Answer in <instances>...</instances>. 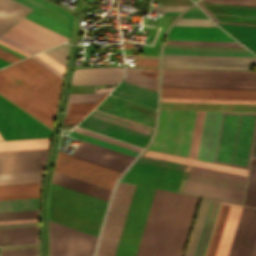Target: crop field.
Segmentation results:
<instances>
[{
  "mask_svg": "<svg viewBox=\"0 0 256 256\" xmlns=\"http://www.w3.org/2000/svg\"><path fill=\"white\" fill-rule=\"evenodd\" d=\"M256 113L224 112L214 162L248 168Z\"/></svg>",
  "mask_w": 256,
  "mask_h": 256,
  "instance_id": "4",
  "label": "crop field"
},
{
  "mask_svg": "<svg viewBox=\"0 0 256 256\" xmlns=\"http://www.w3.org/2000/svg\"><path fill=\"white\" fill-rule=\"evenodd\" d=\"M205 112H197L188 157L196 158Z\"/></svg>",
  "mask_w": 256,
  "mask_h": 256,
  "instance_id": "41",
  "label": "crop field"
},
{
  "mask_svg": "<svg viewBox=\"0 0 256 256\" xmlns=\"http://www.w3.org/2000/svg\"><path fill=\"white\" fill-rule=\"evenodd\" d=\"M162 86L256 89V71L163 69Z\"/></svg>",
  "mask_w": 256,
  "mask_h": 256,
  "instance_id": "5",
  "label": "crop field"
},
{
  "mask_svg": "<svg viewBox=\"0 0 256 256\" xmlns=\"http://www.w3.org/2000/svg\"><path fill=\"white\" fill-rule=\"evenodd\" d=\"M138 161L155 164V165L171 167V168L182 169V170H184L186 167L185 164H180V163H175V162H170V161H165V160H160V159H155V158H150V157H145V156H142V158Z\"/></svg>",
  "mask_w": 256,
  "mask_h": 256,
  "instance_id": "50",
  "label": "crop field"
},
{
  "mask_svg": "<svg viewBox=\"0 0 256 256\" xmlns=\"http://www.w3.org/2000/svg\"><path fill=\"white\" fill-rule=\"evenodd\" d=\"M219 203L220 202H218V201H214V200L211 201V205H210V208L208 211V215H207V218L205 221V225L203 228V232H202L200 242H199L195 256H204L206 246H207V243L209 240V236H210V233L212 230V226H213V223L215 220V216H216V213L218 210Z\"/></svg>",
  "mask_w": 256,
  "mask_h": 256,
  "instance_id": "38",
  "label": "crop field"
},
{
  "mask_svg": "<svg viewBox=\"0 0 256 256\" xmlns=\"http://www.w3.org/2000/svg\"><path fill=\"white\" fill-rule=\"evenodd\" d=\"M83 118H64L63 123H78Z\"/></svg>",
  "mask_w": 256,
  "mask_h": 256,
  "instance_id": "66",
  "label": "crop field"
},
{
  "mask_svg": "<svg viewBox=\"0 0 256 256\" xmlns=\"http://www.w3.org/2000/svg\"><path fill=\"white\" fill-rule=\"evenodd\" d=\"M201 4H202V2H200V4H199L200 7L207 14L210 13L217 21L245 23V24H256V7H247V6H237V5H227V4H216V3L203 2L202 6L209 12L208 13L201 6ZM234 23H232V24H234ZM245 24H243V25H245ZM253 26H256V25H253Z\"/></svg>",
  "mask_w": 256,
  "mask_h": 256,
  "instance_id": "20",
  "label": "crop field"
},
{
  "mask_svg": "<svg viewBox=\"0 0 256 256\" xmlns=\"http://www.w3.org/2000/svg\"><path fill=\"white\" fill-rule=\"evenodd\" d=\"M33 60H35L36 62H38L39 64H41L42 66H44L45 68H47L48 70H50L51 72H53L54 74H56L57 76H59L60 78L63 77V74H61L60 72H58L57 70H55L54 68H52L51 66L47 65L46 63H44L43 61H41L40 59H38L37 57L33 56L31 57Z\"/></svg>",
  "mask_w": 256,
  "mask_h": 256,
  "instance_id": "64",
  "label": "crop field"
},
{
  "mask_svg": "<svg viewBox=\"0 0 256 256\" xmlns=\"http://www.w3.org/2000/svg\"><path fill=\"white\" fill-rule=\"evenodd\" d=\"M38 248V244L1 247V250Z\"/></svg>",
  "mask_w": 256,
  "mask_h": 256,
  "instance_id": "65",
  "label": "crop field"
},
{
  "mask_svg": "<svg viewBox=\"0 0 256 256\" xmlns=\"http://www.w3.org/2000/svg\"><path fill=\"white\" fill-rule=\"evenodd\" d=\"M0 58L4 59V60H6L10 63H13V62L18 61V60L21 59V58L15 56V55L10 54V53H8L4 50H1V49H0Z\"/></svg>",
  "mask_w": 256,
  "mask_h": 256,
  "instance_id": "61",
  "label": "crop field"
},
{
  "mask_svg": "<svg viewBox=\"0 0 256 256\" xmlns=\"http://www.w3.org/2000/svg\"><path fill=\"white\" fill-rule=\"evenodd\" d=\"M0 94L52 129L56 107L1 70Z\"/></svg>",
  "mask_w": 256,
  "mask_h": 256,
  "instance_id": "10",
  "label": "crop field"
},
{
  "mask_svg": "<svg viewBox=\"0 0 256 256\" xmlns=\"http://www.w3.org/2000/svg\"><path fill=\"white\" fill-rule=\"evenodd\" d=\"M68 134L71 135V136H74V137H78V138H81V139H84V140H87V141H90V142L108 147V148L113 149V150H116V151H119V152H122V153H125V154H128V155L134 156V157H136L137 154H138V152H135V151H132V150H129V149H126V148H122V147H119V146H116V145H113V144H110V143H107V142H104V141H101V140H98V139H95V138H92V137H88V136H85V135H82V134H79V133H76V132H73V131L69 132Z\"/></svg>",
  "mask_w": 256,
  "mask_h": 256,
  "instance_id": "43",
  "label": "crop field"
},
{
  "mask_svg": "<svg viewBox=\"0 0 256 256\" xmlns=\"http://www.w3.org/2000/svg\"><path fill=\"white\" fill-rule=\"evenodd\" d=\"M161 101H178V102H212V103H246V104H256V101H248V100H213V99H178V98H161Z\"/></svg>",
  "mask_w": 256,
  "mask_h": 256,
  "instance_id": "48",
  "label": "crop field"
},
{
  "mask_svg": "<svg viewBox=\"0 0 256 256\" xmlns=\"http://www.w3.org/2000/svg\"><path fill=\"white\" fill-rule=\"evenodd\" d=\"M164 54L255 57L249 51L165 49Z\"/></svg>",
  "mask_w": 256,
  "mask_h": 256,
  "instance_id": "37",
  "label": "crop field"
},
{
  "mask_svg": "<svg viewBox=\"0 0 256 256\" xmlns=\"http://www.w3.org/2000/svg\"><path fill=\"white\" fill-rule=\"evenodd\" d=\"M122 181L242 204V190L130 169Z\"/></svg>",
  "mask_w": 256,
  "mask_h": 256,
  "instance_id": "6",
  "label": "crop field"
},
{
  "mask_svg": "<svg viewBox=\"0 0 256 256\" xmlns=\"http://www.w3.org/2000/svg\"><path fill=\"white\" fill-rule=\"evenodd\" d=\"M39 198L0 201V212L38 209Z\"/></svg>",
  "mask_w": 256,
  "mask_h": 256,
  "instance_id": "39",
  "label": "crop field"
},
{
  "mask_svg": "<svg viewBox=\"0 0 256 256\" xmlns=\"http://www.w3.org/2000/svg\"><path fill=\"white\" fill-rule=\"evenodd\" d=\"M190 5L151 6V11H184Z\"/></svg>",
  "mask_w": 256,
  "mask_h": 256,
  "instance_id": "57",
  "label": "crop field"
},
{
  "mask_svg": "<svg viewBox=\"0 0 256 256\" xmlns=\"http://www.w3.org/2000/svg\"><path fill=\"white\" fill-rule=\"evenodd\" d=\"M72 155L123 171L134 157L82 140Z\"/></svg>",
  "mask_w": 256,
  "mask_h": 256,
  "instance_id": "19",
  "label": "crop field"
},
{
  "mask_svg": "<svg viewBox=\"0 0 256 256\" xmlns=\"http://www.w3.org/2000/svg\"><path fill=\"white\" fill-rule=\"evenodd\" d=\"M68 44H62L60 46L54 47L52 49L44 51L47 55H49L51 58L56 60L58 63H60L62 66H65L67 53H68Z\"/></svg>",
  "mask_w": 256,
  "mask_h": 256,
  "instance_id": "45",
  "label": "crop field"
},
{
  "mask_svg": "<svg viewBox=\"0 0 256 256\" xmlns=\"http://www.w3.org/2000/svg\"><path fill=\"white\" fill-rule=\"evenodd\" d=\"M0 41L4 42L6 44H9V45H11V46H13V47H15V48H17L19 50H22V51H24V52H26V53H28L30 55H33V54L39 52V51H37V50H35L33 48H30V47H28V46H26L24 44H21V43L15 41L13 39H10V38H8V37H6L4 35H2L0 37Z\"/></svg>",
  "mask_w": 256,
  "mask_h": 256,
  "instance_id": "53",
  "label": "crop field"
},
{
  "mask_svg": "<svg viewBox=\"0 0 256 256\" xmlns=\"http://www.w3.org/2000/svg\"><path fill=\"white\" fill-rule=\"evenodd\" d=\"M31 221H38V219L14 220V221H0V224H3V223H17V222H31Z\"/></svg>",
  "mask_w": 256,
  "mask_h": 256,
  "instance_id": "67",
  "label": "crop field"
},
{
  "mask_svg": "<svg viewBox=\"0 0 256 256\" xmlns=\"http://www.w3.org/2000/svg\"><path fill=\"white\" fill-rule=\"evenodd\" d=\"M38 58H40L41 60H43L44 62H46L47 64L51 65L52 67H54L55 69H57L58 71H60L61 73L64 72V67H62L60 64H58L56 61H54L53 59H51L49 56H47L45 53L41 52L37 55Z\"/></svg>",
  "mask_w": 256,
  "mask_h": 256,
  "instance_id": "58",
  "label": "crop field"
},
{
  "mask_svg": "<svg viewBox=\"0 0 256 256\" xmlns=\"http://www.w3.org/2000/svg\"><path fill=\"white\" fill-rule=\"evenodd\" d=\"M111 94L156 109V91L122 81Z\"/></svg>",
  "mask_w": 256,
  "mask_h": 256,
  "instance_id": "25",
  "label": "crop field"
},
{
  "mask_svg": "<svg viewBox=\"0 0 256 256\" xmlns=\"http://www.w3.org/2000/svg\"><path fill=\"white\" fill-rule=\"evenodd\" d=\"M108 94H69L65 115L68 113L69 105L99 104ZM97 105L70 106L68 116L85 117Z\"/></svg>",
  "mask_w": 256,
  "mask_h": 256,
  "instance_id": "26",
  "label": "crop field"
},
{
  "mask_svg": "<svg viewBox=\"0 0 256 256\" xmlns=\"http://www.w3.org/2000/svg\"><path fill=\"white\" fill-rule=\"evenodd\" d=\"M32 9H35L45 15H48L58 21H61L72 27L73 17L63 8L47 0H16Z\"/></svg>",
  "mask_w": 256,
  "mask_h": 256,
  "instance_id": "30",
  "label": "crop field"
},
{
  "mask_svg": "<svg viewBox=\"0 0 256 256\" xmlns=\"http://www.w3.org/2000/svg\"><path fill=\"white\" fill-rule=\"evenodd\" d=\"M41 183L0 186V200L39 197Z\"/></svg>",
  "mask_w": 256,
  "mask_h": 256,
  "instance_id": "33",
  "label": "crop field"
},
{
  "mask_svg": "<svg viewBox=\"0 0 256 256\" xmlns=\"http://www.w3.org/2000/svg\"><path fill=\"white\" fill-rule=\"evenodd\" d=\"M8 64H10V63H8V62H6V61L0 59V67L6 66V65H8Z\"/></svg>",
  "mask_w": 256,
  "mask_h": 256,
  "instance_id": "71",
  "label": "crop field"
},
{
  "mask_svg": "<svg viewBox=\"0 0 256 256\" xmlns=\"http://www.w3.org/2000/svg\"><path fill=\"white\" fill-rule=\"evenodd\" d=\"M165 45L242 47L237 42L167 40Z\"/></svg>",
  "mask_w": 256,
  "mask_h": 256,
  "instance_id": "42",
  "label": "crop field"
},
{
  "mask_svg": "<svg viewBox=\"0 0 256 256\" xmlns=\"http://www.w3.org/2000/svg\"><path fill=\"white\" fill-rule=\"evenodd\" d=\"M194 165L200 166V167H205V168H210V169H215V170H220V171H225V172H230V173H235V174H240V175H245V176H247V173H248V170H245V169L234 168V167H229V166H224V165H219V164H214V163H208V162H203V161H198V160L195 161Z\"/></svg>",
  "mask_w": 256,
  "mask_h": 256,
  "instance_id": "44",
  "label": "crop field"
},
{
  "mask_svg": "<svg viewBox=\"0 0 256 256\" xmlns=\"http://www.w3.org/2000/svg\"><path fill=\"white\" fill-rule=\"evenodd\" d=\"M223 112H206L197 158L214 160Z\"/></svg>",
  "mask_w": 256,
  "mask_h": 256,
  "instance_id": "21",
  "label": "crop field"
},
{
  "mask_svg": "<svg viewBox=\"0 0 256 256\" xmlns=\"http://www.w3.org/2000/svg\"><path fill=\"white\" fill-rule=\"evenodd\" d=\"M52 178L56 179V180H59V181H62V182H65V183H68V184H71V185H74V186H77V187H81V188H84V189H87V190H90V191L108 196V197L110 196V193L112 191L111 189H108V188H105V187H102V186H99V185H95V184H92V183H89V182H86V181H83V180H80V179H77V178H74V177H71V176H67V175L55 172V171H54V174H53ZM53 179H52L53 183H56V184H59V185H62V186H65V187L83 192V193H86V194H89V195H92V196H95V197H98V198H101V199H104V200H107V201L109 199L108 197H105V196H102V195H99V194H96V193H93V192H90V191H87V190H84V189H80V188H77V187H74V186H71V185L53 180Z\"/></svg>",
  "mask_w": 256,
  "mask_h": 256,
  "instance_id": "27",
  "label": "crop field"
},
{
  "mask_svg": "<svg viewBox=\"0 0 256 256\" xmlns=\"http://www.w3.org/2000/svg\"><path fill=\"white\" fill-rule=\"evenodd\" d=\"M107 201L51 184L49 219L98 235Z\"/></svg>",
  "mask_w": 256,
  "mask_h": 256,
  "instance_id": "3",
  "label": "crop field"
},
{
  "mask_svg": "<svg viewBox=\"0 0 256 256\" xmlns=\"http://www.w3.org/2000/svg\"><path fill=\"white\" fill-rule=\"evenodd\" d=\"M133 43L130 42H123L124 48H132Z\"/></svg>",
  "mask_w": 256,
  "mask_h": 256,
  "instance_id": "70",
  "label": "crop field"
},
{
  "mask_svg": "<svg viewBox=\"0 0 256 256\" xmlns=\"http://www.w3.org/2000/svg\"><path fill=\"white\" fill-rule=\"evenodd\" d=\"M0 140H3V138L1 137V135H0Z\"/></svg>",
  "mask_w": 256,
  "mask_h": 256,
  "instance_id": "74",
  "label": "crop field"
},
{
  "mask_svg": "<svg viewBox=\"0 0 256 256\" xmlns=\"http://www.w3.org/2000/svg\"><path fill=\"white\" fill-rule=\"evenodd\" d=\"M135 65L157 66L158 60L134 59Z\"/></svg>",
  "mask_w": 256,
  "mask_h": 256,
  "instance_id": "63",
  "label": "crop field"
},
{
  "mask_svg": "<svg viewBox=\"0 0 256 256\" xmlns=\"http://www.w3.org/2000/svg\"><path fill=\"white\" fill-rule=\"evenodd\" d=\"M182 17L208 18L196 7L187 11Z\"/></svg>",
  "mask_w": 256,
  "mask_h": 256,
  "instance_id": "60",
  "label": "crop field"
},
{
  "mask_svg": "<svg viewBox=\"0 0 256 256\" xmlns=\"http://www.w3.org/2000/svg\"><path fill=\"white\" fill-rule=\"evenodd\" d=\"M73 131H76V132H79V133H82V134H85V135H89V136H92V137H95V138H98V139H101V140H104V141H107V142H110V143H113V144H116V145H119V146H123V147L129 148V149H132V150H135V151H138V152H140L142 150L140 148H137V147H134V146H131V145H128V144L110 139L108 137H105V136H102V135H99V134H96V133L78 128V127H75L73 129Z\"/></svg>",
  "mask_w": 256,
  "mask_h": 256,
  "instance_id": "49",
  "label": "crop field"
},
{
  "mask_svg": "<svg viewBox=\"0 0 256 256\" xmlns=\"http://www.w3.org/2000/svg\"><path fill=\"white\" fill-rule=\"evenodd\" d=\"M43 171L0 174V180L42 177Z\"/></svg>",
  "mask_w": 256,
  "mask_h": 256,
  "instance_id": "52",
  "label": "crop field"
},
{
  "mask_svg": "<svg viewBox=\"0 0 256 256\" xmlns=\"http://www.w3.org/2000/svg\"><path fill=\"white\" fill-rule=\"evenodd\" d=\"M0 44H2V45H4V46H7V47H9V48H11V49H13V50H15V51H18V52H20V53H22V54H24V55H26V56H30V55H28V54H26V53H24V52H22V51H19V50L15 49V48H13V47H11V46H9V45L4 44V43H2V42H0Z\"/></svg>",
  "mask_w": 256,
  "mask_h": 256,
  "instance_id": "69",
  "label": "crop field"
},
{
  "mask_svg": "<svg viewBox=\"0 0 256 256\" xmlns=\"http://www.w3.org/2000/svg\"><path fill=\"white\" fill-rule=\"evenodd\" d=\"M175 25L216 26L210 19L180 18Z\"/></svg>",
  "mask_w": 256,
  "mask_h": 256,
  "instance_id": "51",
  "label": "crop field"
},
{
  "mask_svg": "<svg viewBox=\"0 0 256 256\" xmlns=\"http://www.w3.org/2000/svg\"><path fill=\"white\" fill-rule=\"evenodd\" d=\"M30 218H38V210L0 213V220L30 219Z\"/></svg>",
  "mask_w": 256,
  "mask_h": 256,
  "instance_id": "47",
  "label": "crop field"
},
{
  "mask_svg": "<svg viewBox=\"0 0 256 256\" xmlns=\"http://www.w3.org/2000/svg\"><path fill=\"white\" fill-rule=\"evenodd\" d=\"M161 97L256 100V90L162 87Z\"/></svg>",
  "mask_w": 256,
  "mask_h": 256,
  "instance_id": "16",
  "label": "crop field"
},
{
  "mask_svg": "<svg viewBox=\"0 0 256 256\" xmlns=\"http://www.w3.org/2000/svg\"><path fill=\"white\" fill-rule=\"evenodd\" d=\"M124 81L157 91L158 69L126 67Z\"/></svg>",
  "mask_w": 256,
  "mask_h": 256,
  "instance_id": "31",
  "label": "crop field"
},
{
  "mask_svg": "<svg viewBox=\"0 0 256 256\" xmlns=\"http://www.w3.org/2000/svg\"><path fill=\"white\" fill-rule=\"evenodd\" d=\"M203 1L217 2V3H227V4H237V5L256 6V0H203Z\"/></svg>",
  "mask_w": 256,
  "mask_h": 256,
  "instance_id": "56",
  "label": "crop field"
},
{
  "mask_svg": "<svg viewBox=\"0 0 256 256\" xmlns=\"http://www.w3.org/2000/svg\"><path fill=\"white\" fill-rule=\"evenodd\" d=\"M191 171L197 172V173H202V174H207V175H212V176L233 179V180L244 181V182H246V179H247V177H245V176H240V175H235V174H230V173H225V172H220V171H215V170H210V169H205V168H200V167H195V166L192 167Z\"/></svg>",
  "mask_w": 256,
  "mask_h": 256,
  "instance_id": "46",
  "label": "crop field"
},
{
  "mask_svg": "<svg viewBox=\"0 0 256 256\" xmlns=\"http://www.w3.org/2000/svg\"><path fill=\"white\" fill-rule=\"evenodd\" d=\"M25 18H27L31 21H34L40 25H43L51 30H54L60 34H63L69 38L71 36V30H72L71 27H69L61 22H58L48 16H45L35 10L30 12L27 16H25Z\"/></svg>",
  "mask_w": 256,
  "mask_h": 256,
  "instance_id": "36",
  "label": "crop field"
},
{
  "mask_svg": "<svg viewBox=\"0 0 256 256\" xmlns=\"http://www.w3.org/2000/svg\"><path fill=\"white\" fill-rule=\"evenodd\" d=\"M195 114L159 111L157 132L148 149L187 157Z\"/></svg>",
  "mask_w": 256,
  "mask_h": 256,
  "instance_id": "7",
  "label": "crop field"
},
{
  "mask_svg": "<svg viewBox=\"0 0 256 256\" xmlns=\"http://www.w3.org/2000/svg\"><path fill=\"white\" fill-rule=\"evenodd\" d=\"M38 249L1 251V256H37Z\"/></svg>",
  "mask_w": 256,
  "mask_h": 256,
  "instance_id": "55",
  "label": "crop field"
},
{
  "mask_svg": "<svg viewBox=\"0 0 256 256\" xmlns=\"http://www.w3.org/2000/svg\"><path fill=\"white\" fill-rule=\"evenodd\" d=\"M96 239L49 220V256H92Z\"/></svg>",
  "mask_w": 256,
  "mask_h": 256,
  "instance_id": "11",
  "label": "crop field"
},
{
  "mask_svg": "<svg viewBox=\"0 0 256 256\" xmlns=\"http://www.w3.org/2000/svg\"><path fill=\"white\" fill-rule=\"evenodd\" d=\"M244 205L256 207V158H252Z\"/></svg>",
  "mask_w": 256,
  "mask_h": 256,
  "instance_id": "40",
  "label": "crop field"
},
{
  "mask_svg": "<svg viewBox=\"0 0 256 256\" xmlns=\"http://www.w3.org/2000/svg\"><path fill=\"white\" fill-rule=\"evenodd\" d=\"M97 109L125 117L149 126L154 125V112L132 105L130 103L112 98H107ZM79 127L95 131L125 142L145 147L152 130L101 114L92 112Z\"/></svg>",
  "mask_w": 256,
  "mask_h": 256,
  "instance_id": "2",
  "label": "crop field"
},
{
  "mask_svg": "<svg viewBox=\"0 0 256 256\" xmlns=\"http://www.w3.org/2000/svg\"><path fill=\"white\" fill-rule=\"evenodd\" d=\"M4 35L39 51L69 39L25 18L15 24Z\"/></svg>",
  "mask_w": 256,
  "mask_h": 256,
  "instance_id": "15",
  "label": "crop field"
},
{
  "mask_svg": "<svg viewBox=\"0 0 256 256\" xmlns=\"http://www.w3.org/2000/svg\"><path fill=\"white\" fill-rule=\"evenodd\" d=\"M251 51L256 53V27L218 23Z\"/></svg>",
  "mask_w": 256,
  "mask_h": 256,
  "instance_id": "34",
  "label": "crop field"
},
{
  "mask_svg": "<svg viewBox=\"0 0 256 256\" xmlns=\"http://www.w3.org/2000/svg\"><path fill=\"white\" fill-rule=\"evenodd\" d=\"M31 10L14 0H0V34Z\"/></svg>",
  "mask_w": 256,
  "mask_h": 256,
  "instance_id": "28",
  "label": "crop field"
},
{
  "mask_svg": "<svg viewBox=\"0 0 256 256\" xmlns=\"http://www.w3.org/2000/svg\"><path fill=\"white\" fill-rule=\"evenodd\" d=\"M0 47H2V48H4V49H6V50H8V51H10V52H12V53H14V54L18 55V56H20V57H22V58L26 57V56L21 55V54H19V53H17V52H15V51H13V50H11V49H8V48H6V47H4V46H2V45H0Z\"/></svg>",
  "mask_w": 256,
  "mask_h": 256,
  "instance_id": "68",
  "label": "crop field"
},
{
  "mask_svg": "<svg viewBox=\"0 0 256 256\" xmlns=\"http://www.w3.org/2000/svg\"><path fill=\"white\" fill-rule=\"evenodd\" d=\"M54 170L111 189L121 173V171L75 158L59 151Z\"/></svg>",
  "mask_w": 256,
  "mask_h": 256,
  "instance_id": "12",
  "label": "crop field"
},
{
  "mask_svg": "<svg viewBox=\"0 0 256 256\" xmlns=\"http://www.w3.org/2000/svg\"><path fill=\"white\" fill-rule=\"evenodd\" d=\"M38 243V227L0 229V245Z\"/></svg>",
  "mask_w": 256,
  "mask_h": 256,
  "instance_id": "29",
  "label": "crop field"
},
{
  "mask_svg": "<svg viewBox=\"0 0 256 256\" xmlns=\"http://www.w3.org/2000/svg\"><path fill=\"white\" fill-rule=\"evenodd\" d=\"M48 149L0 152V173L43 170Z\"/></svg>",
  "mask_w": 256,
  "mask_h": 256,
  "instance_id": "17",
  "label": "crop field"
},
{
  "mask_svg": "<svg viewBox=\"0 0 256 256\" xmlns=\"http://www.w3.org/2000/svg\"><path fill=\"white\" fill-rule=\"evenodd\" d=\"M167 39L234 41L218 27L173 26Z\"/></svg>",
  "mask_w": 256,
  "mask_h": 256,
  "instance_id": "24",
  "label": "crop field"
},
{
  "mask_svg": "<svg viewBox=\"0 0 256 256\" xmlns=\"http://www.w3.org/2000/svg\"><path fill=\"white\" fill-rule=\"evenodd\" d=\"M50 138L0 142V151L48 148Z\"/></svg>",
  "mask_w": 256,
  "mask_h": 256,
  "instance_id": "35",
  "label": "crop field"
},
{
  "mask_svg": "<svg viewBox=\"0 0 256 256\" xmlns=\"http://www.w3.org/2000/svg\"><path fill=\"white\" fill-rule=\"evenodd\" d=\"M134 186L133 184L119 183L105 224L97 256H114ZM153 190L148 187L135 186L115 256H133Z\"/></svg>",
  "mask_w": 256,
  "mask_h": 256,
  "instance_id": "1",
  "label": "crop field"
},
{
  "mask_svg": "<svg viewBox=\"0 0 256 256\" xmlns=\"http://www.w3.org/2000/svg\"><path fill=\"white\" fill-rule=\"evenodd\" d=\"M42 178H35V179H19V180H3L0 181V185L4 184H19V183H34V182H41Z\"/></svg>",
  "mask_w": 256,
  "mask_h": 256,
  "instance_id": "59",
  "label": "crop field"
},
{
  "mask_svg": "<svg viewBox=\"0 0 256 256\" xmlns=\"http://www.w3.org/2000/svg\"><path fill=\"white\" fill-rule=\"evenodd\" d=\"M241 205L220 203L205 256H227L242 210Z\"/></svg>",
  "mask_w": 256,
  "mask_h": 256,
  "instance_id": "13",
  "label": "crop field"
},
{
  "mask_svg": "<svg viewBox=\"0 0 256 256\" xmlns=\"http://www.w3.org/2000/svg\"><path fill=\"white\" fill-rule=\"evenodd\" d=\"M132 168L138 169V170H143V171L164 174V175H169V176H175V177L195 180V181H200V182H206V183L226 186V187H232V188H237V189H242V190H244L245 184H246L243 182L213 178V177L200 175V174H196V173H191V172H186V171H181V170H176V169H171V168H165V167H160V166H155V165H150V164H144V163H139V162H136Z\"/></svg>",
  "mask_w": 256,
  "mask_h": 256,
  "instance_id": "23",
  "label": "crop field"
},
{
  "mask_svg": "<svg viewBox=\"0 0 256 256\" xmlns=\"http://www.w3.org/2000/svg\"><path fill=\"white\" fill-rule=\"evenodd\" d=\"M256 58L164 55L163 67L249 70Z\"/></svg>",
  "mask_w": 256,
  "mask_h": 256,
  "instance_id": "14",
  "label": "crop field"
},
{
  "mask_svg": "<svg viewBox=\"0 0 256 256\" xmlns=\"http://www.w3.org/2000/svg\"><path fill=\"white\" fill-rule=\"evenodd\" d=\"M209 199H201L192 232L184 256H194L199 242L201 231L210 205Z\"/></svg>",
  "mask_w": 256,
  "mask_h": 256,
  "instance_id": "32",
  "label": "crop field"
},
{
  "mask_svg": "<svg viewBox=\"0 0 256 256\" xmlns=\"http://www.w3.org/2000/svg\"><path fill=\"white\" fill-rule=\"evenodd\" d=\"M256 237V208L243 207L228 256H250Z\"/></svg>",
  "mask_w": 256,
  "mask_h": 256,
  "instance_id": "18",
  "label": "crop field"
},
{
  "mask_svg": "<svg viewBox=\"0 0 256 256\" xmlns=\"http://www.w3.org/2000/svg\"><path fill=\"white\" fill-rule=\"evenodd\" d=\"M253 156H256V143H255V148H254V154Z\"/></svg>",
  "mask_w": 256,
  "mask_h": 256,
  "instance_id": "73",
  "label": "crop field"
},
{
  "mask_svg": "<svg viewBox=\"0 0 256 256\" xmlns=\"http://www.w3.org/2000/svg\"><path fill=\"white\" fill-rule=\"evenodd\" d=\"M124 68L76 69L71 85L118 84Z\"/></svg>",
  "mask_w": 256,
  "mask_h": 256,
  "instance_id": "22",
  "label": "crop field"
},
{
  "mask_svg": "<svg viewBox=\"0 0 256 256\" xmlns=\"http://www.w3.org/2000/svg\"><path fill=\"white\" fill-rule=\"evenodd\" d=\"M251 256H256V241H255Z\"/></svg>",
  "mask_w": 256,
  "mask_h": 256,
  "instance_id": "72",
  "label": "crop field"
},
{
  "mask_svg": "<svg viewBox=\"0 0 256 256\" xmlns=\"http://www.w3.org/2000/svg\"><path fill=\"white\" fill-rule=\"evenodd\" d=\"M30 226H38V222L17 223V224H3V225H0V228L30 227Z\"/></svg>",
  "mask_w": 256,
  "mask_h": 256,
  "instance_id": "62",
  "label": "crop field"
},
{
  "mask_svg": "<svg viewBox=\"0 0 256 256\" xmlns=\"http://www.w3.org/2000/svg\"><path fill=\"white\" fill-rule=\"evenodd\" d=\"M2 70L54 106L57 105L62 79L32 59L28 58Z\"/></svg>",
  "mask_w": 256,
  "mask_h": 256,
  "instance_id": "8",
  "label": "crop field"
},
{
  "mask_svg": "<svg viewBox=\"0 0 256 256\" xmlns=\"http://www.w3.org/2000/svg\"><path fill=\"white\" fill-rule=\"evenodd\" d=\"M0 134L4 140L42 138L52 130L0 95Z\"/></svg>",
  "mask_w": 256,
  "mask_h": 256,
  "instance_id": "9",
  "label": "crop field"
},
{
  "mask_svg": "<svg viewBox=\"0 0 256 256\" xmlns=\"http://www.w3.org/2000/svg\"><path fill=\"white\" fill-rule=\"evenodd\" d=\"M144 155L150 156V157H155V158H160V159H165V160H170V161H175V162H180V163H185V164H187L188 160H189L187 158L166 155V154H161V153H156V152H151V151L145 152Z\"/></svg>",
  "mask_w": 256,
  "mask_h": 256,
  "instance_id": "54",
  "label": "crop field"
}]
</instances>
